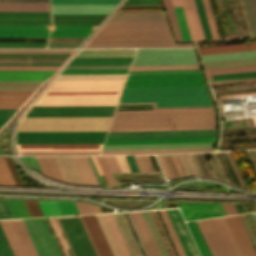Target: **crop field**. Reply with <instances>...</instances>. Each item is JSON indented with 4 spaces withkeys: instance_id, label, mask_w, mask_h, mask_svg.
<instances>
[{
    "instance_id": "0f1d7ab4",
    "label": "crop field",
    "mask_w": 256,
    "mask_h": 256,
    "mask_svg": "<svg viewBox=\"0 0 256 256\" xmlns=\"http://www.w3.org/2000/svg\"><path fill=\"white\" fill-rule=\"evenodd\" d=\"M120 0H51L52 3L117 4Z\"/></svg>"
},
{
    "instance_id": "5a996713",
    "label": "crop field",
    "mask_w": 256,
    "mask_h": 256,
    "mask_svg": "<svg viewBox=\"0 0 256 256\" xmlns=\"http://www.w3.org/2000/svg\"><path fill=\"white\" fill-rule=\"evenodd\" d=\"M205 85L201 74L128 76L124 87Z\"/></svg>"
},
{
    "instance_id": "214f88e0",
    "label": "crop field",
    "mask_w": 256,
    "mask_h": 256,
    "mask_svg": "<svg viewBox=\"0 0 256 256\" xmlns=\"http://www.w3.org/2000/svg\"><path fill=\"white\" fill-rule=\"evenodd\" d=\"M50 26H0V37H48Z\"/></svg>"
},
{
    "instance_id": "ae1a2a85",
    "label": "crop field",
    "mask_w": 256,
    "mask_h": 256,
    "mask_svg": "<svg viewBox=\"0 0 256 256\" xmlns=\"http://www.w3.org/2000/svg\"><path fill=\"white\" fill-rule=\"evenodd\" d=\"M66 182L83 184L70 156H54Z\"/></svg>"
},
{
    "instance_id": "5866460e",
    "label": "crop field",
    "mask_w": 256,
    "mask_h": 256,
    "mask_svg": "<svg viewBox=\"0 0 256 256\" xmlns=\"http://www.w3.org/2000/svg\"><path fill=\"white\" fill-rule=\"evenodd\" d=\"M140 213H141V215L146 223V226L153 238V241L159 251L160 256H169L150 212L144 211V212H140Z\"/></svg>"
},
{
    "instance_id": "c5b07064",
    "label": "crop field",
    "mask_w": 256,
    "mask_h": 256,
    "mask_svg": "<svg viewBox=\"0 0 256 256\" xmlns=\"http://www.w3.org/2000/svg\"><path fill=\"white\" fill-rule=\"evenodd\" d=\"M13 218L5 200H0V219Z\"/></svg>"
},
{
    "instance_id": "e52e79f7",
    "label": "crop field",
    "mask_w": 256,
    "mask_h": 256,
    "mask_svg": "<svg viewBox=\"0 0 256 256\" xmlns=\"http://www.w3.org/2000/svg\"><path fill=\"white\" fill-rule=\"evenodd\" d=\"M200 222L217 256H242L223 217Z\"/></svg>"
},
{
    "instance_id": "d3111659",
    "label": "crop field",
    "mask_w": 256,
    "mask_h": 256,
    "mask_svg": "<svg viewBox=\"0 0 256 256\" xmlns=\"http://www.w3.org/2000/svg\"><path fill=\"white\" fill-rule=\"evenodd\" d=\"M55 71H0V80H44Z\"/></svg>"
},
{
    "instance_id": "dafd665d",
    "label": "crop field",
    "mask_w": 256,
    "mask_h": 256,
    "mask_svg": "<svg viewBox=\"0 0 256 256\" xmlns=\"http://www.w3.org/2000/svg\"><path fill=\"white\" fill-rule=\"evenodd\" d=\"M19 150H100L102 144H17Z\"/></svg>"
},
{
    "instance_id": "c3a83c6f",
    "label": "crop field",
    "mask_w": 256,
    "mask_h": 256,
    "mask_svg": "<svg viewBox=\"0 0 256 256\" xmlns=\"http://www.w3.org/2000/svg\"><path fill=\"white\" fill-rule=\"evenodd\" d=\"M161 4L160 0H127L123 5Z\"/></svg>"
},
{
    "instance_id": "733c2abd",
    "label": "crop field",
    "mask_w": 256,
    "mask_h": 256,
    "mask_svg": "<svg viewBox=\"0 0 256 256\" xmlns=\"http://www.w3.org/2000/svg\"><path fill=\"white\" fill-rule=\"evenodd\" d=\"M173 6L182 5L191 40L204 39L194 0H172Z\"/></svg>"
},
{
    "instance_id": "a9b5d70f",
    "label": "crop field",
    "mask_w": 256,
    "mask_h": 256,
    "mask_svg": "<svg viewBox=\"0 0 256 256\" xmlns=\"http://www.w3.org/2000/svg\"><path fill=\"white\" fill-rule=\"evenodd\" d=\"M213 147V143L104 145L102 150Z\"/></svg>"
},
{
    "instance_id": "9d1cf04e",
    "label": "crop field",
    "mask_w": 256,
    "mask_h": 256,
    "mask_svg": "<svg viewBox=\"0 0 256 256\" xmlns=\"http://www.w3.org/2000/svg\"><path fill=\"white\" fill-rule=\"evenodd\" d=\"M254 70H256V65L242 66V67H231V68H220V69H210V70H205V71H206L207 75H212V74L244 72V71H254Z\"/></svg>"
},
{
    "instance_id": "ade564c9",
    "label": "crop field",
    "mask_w": 256,
    "mask_h": 256,
    "mask_svg": "<svg viewBox=\"0 0 256 256\" xmlns=\"http://www.w3.org/2000/svg\"><path fill=\"white\" fill-rule=\"evenodd\" d=\"M17 185H23L10 157H4Z\"/></svg>"
},
{
    "instance_id": "d1516ede",
    "label": "crop field",
    "mask_w": 256,
    "mask_h": 256,
    "mask_svg": "<svg viewBox=\"0 0 256 256\" xmlns=\"http://www.w3.org/2000/svg\"><path fill=\"white\" fill-rule=\"evenodd\" d=\"M74 50H0V53H72ZM0 57L20 58H68L69 55H21L0 54ZM65 59H0V62H64ZM23 65H61V63H0Z\"/></svg>"
},
{
    "instance_id": "1f1604b0",
    "label": "crop field",
    "mask_w": 256,
    "mask_h": 256,
    "mask_svg": "<svg viewBox=\"0 0 256 256\" xmlns=\"http://www.w3.org/2000/svg\"><path fill=\"white\" fill-rule=\"evenodd\" d=\"M115 157H116L123 172L130 171L123 155H119V156H115Z\"/></svg>"
},
{
    "instance_id": "4a817a6b",
    "label": "crop field",
    "mask_w": 256,
    "mask_h": 256,
    "mask_svg": "<svg viewBox=\"0 0 256 256\" xmlns=\"http://www.w3.org/2000/svg\"><path fill=\"white\" fill-rule=\"evenodd\" d=\"M186 256H199L178 209L166 210Z\"/></svg>"
},
{
    "instance_id": "b80d0937",
    "label": "crop field",
    "mask_w": 256,
    "mask_h": 256,
    "mask_svg": "<svg viewBox=\"0 0 256 256\" xmlns=\"http://www.w3.org/2000/svg\"><path fill=\"white\" fill-rule=\"evenodd\" d=\"M122 256H131L111 213L103 214Z\"/></svg>"
},
{
    "instance_id": "d32e631a",
    "label": "crop field",
    "mask_w": 256,
    "mask_h": 256,
    "mask_svg": "<svg viewBox=\"0 0 256 256\" xmlns=\"http://www.w3.org/2000/svg\"><path fill=\"white\" fill-rule=\"evenodd\" d=\"M159 127H176V130H188V129H215V124H198V125H162V126H127V127H110L109 129H125V128H159ZM134 130H175V128H159V129H125V130H109V131H134Z\"/></svg>"
},
{
    "instance_id": "425ffa30",
    "label": "crop field",
    "mask_w": 256,
    "mask_h": 256,
    "mask_svg": "<svg viewBox=\"0 0 256 256\" xmlns=\"http://www.w3.org/2000/svg\"><path fill=\"white\" fill-rule=\"evenodd\" d=\"M0 18H49L48 12H0Z\"/></svg>"
},
{
    "instance_id": "7312dd0a",
    "label": "crop field",
    "mask_w": 256,
    "mask_h": 256,
    "mask_svg": "<svg viewBox=\"0 0 256 256\" xmlns=\"http://www.w3.org/2000/svg\"><path fill=\"white\" fill-rule=\"evenodd\" d=\"M112 172H122L114 156H105Z\"/></svg>"
},
{
    "instance_id": "fb207236",
    "label": "crop field",
    "mask_w": 256,
    "mask_h": 256,
    "mask_svg": "<svg viewBox=\"0 0 256 256\" xmlns=\"http://www.w3.org/2000/svg\"><path fill=\"white\" fill-rule=\"evenodd\" d=\"M129 68V66H66L65 69Z\"/></svg>"
},
{
    "instance_id": "34b2d1b8",
    "label": "crop field",
    "mask_w": 256,
    "mask_h": 256,
    "mask_svg": "<svg viewBox=\"0 0 256 256\" xmlns=\"http://www.w3.org/2000/svg\"><path fill=\"white\" fill-rule=\"evenodd\" d=\"M209 98L205 86L124 88L120 100Z\"/></svg>"
},
{
    "instance_id": "1f2cbd36",
    "label": "crop field",
    "mask_w": 256,
    "mask_h": 256,
    "mask_svg": "<svg viewBox=\"0 0 256 256\" xmlns=\"http://www.w3.org/2000/svg\"><path fill=\"white\" fill-rule=\"evenodd\" d=\"M199 69L198 65L132 66L130 70Z\"/></svg>"
},
{
    "instance_id": "d23c7cc5",
    "label": "crop field",
    "mask_w": 256,
    "mask_h": 256,
    "mask_svg": "<svg viewBox=\"0 0 256 256\" xmlns=\"http://www.w3.org/2000/svg\"><path fill=\"white\" fill-rule=\"evenodd\" d=\"M0 25H50L49 19H0Z\"/></svg>"
},
{
    "instance_id": "412701ff",
    "label": "crop field",
    "mask_w": 256,
    "mask_h": 256,
    "mask_svg": "<svg viewBox=\"0 0 256 256\" xmlns=\"http://www.w3.org/2000/svg\"><path fill=\"white\" fill-rule=\"evenodd\" d=\"M55 218L73 256H98L80 216Z\"/></svg>"
},
{
    "instance_id": "c39391a2",
    "label": "crop field",
    "mask_w": 256,
    "mask_h": 256,
    "mask_svg": "<svg viewBox=\"0 0 256 256\" xmlns=\"http://www.w3.org/2000/svg\"><path fill=\"white\" fill-rule=\"evenodd\" d=\"M46 43H0V47H45Z\"/></svg>"
},
{
    "instance_id": "eef30255",
    "label": "crop field",
    "mask_w": 256,
    "mask_h": 256,
    "mask_svg": "<svg viewBox=\"0 0 256 256\" xmlns=\"http://www.w3.org/2000/svg\"><path fill=\"white\" fill-rule=\"evenodd\" d=\"M96 26H53L50 37H87Z\"/></svg>"
},
{
    "instance_id": "028f5c9d",
    "label": "crop field",
    "mask_w": 256,
    "mask_h": 256,
    "mask_svg": "<svg viewBox=\"0 0 256 256\" xmlns=\"http://www.w3.org/2000/svg\"><path fill=\"white\" fill-rule=\"evenodd\" d=\"M84 184L98 185L85 156H71Z\"/></svg>"
},
{
    "instance_id": "8de936bc",
    "label": "crop field",
    "mask_w": 256,
    "mask_h": 256,
    "mask_svg": "<svg viewBox=\"0 0 256 256\" xmlns=\"http://www.w3.org/2000/svg\"><path fill=\"white\" fill-rule=\"evenodd\" d=\"M252 80H256V78L236 79V80H225V81H214V82H209V83H210V84H216V83H228V82L252 81Z\"/></svg>"
},
{
    "instance_id": "a0ae1fb6",
    "label": "crop field",
    "mask_w": 256,
    "mask_h": 256,
    "mask_svg": "<svg viewBox=\"0 0 256 256\" xmlns=\"http://www.w3.org/2000/svg\"><path fill=\"white\" fill-rule=\"evenodd\" d=\"M196 222H197V224H198V226H199V228H200V230H201V232H202V234H203V236H204V238H205V240H206V242H207V245H208V247H209V249H210L212 255H213V256H216V255H215V252H214V250H213V248H212V246H211V244H210V242H209V240H208V238H207V236H206V234H205V232H204V230H203V228H202V226H201V224H200V222H199V221H196Z\"/></svg>"
},
{
    "instance_id": "e1f06a70",
    "label": "crop field",
    "mask_w": 256,
    "mask_h": 256,
    "mask_svg": "<svg viewBox=\"0 0 256 256\" xmlns=\"http://www.w3.org/2000/svg\"><path fill=\"white\" fill-rule=\"evenodd\" d=\"M255 49H256V43L198 48L200 55L244 51V50H255Z\"/></svg>"
},
{
    "instance_id": "5142ce71",
    "label": "crop field",
    "mask_w": 256,
    "mask_h": 256,
    "mask_svg": "<svg viewBox=\"0 0 256 256\" xmlns=\"http://www.w3.org/2000/svg\"><path fill=\"white\" fill-rule=\"evenodd\" d=\"M85 47H191L174 40H90Z\"/></svg>"
},
{
    "instance_id": "ae633e8c",
    "label": "crop field",
    "mask_w": 256,
    "mask_h": 256,
    "mask_svg": "<svg viewBox=\"0 0 256 256\" xmlns=\"http://www.w3.org/2000/svg\"><path fill=\"white\" fill-rule=\"evenodd\" d=\"M63 215L79 214L73 202L56 201Z\"/></svg>"
},
{
    "instance_id": "d9b57169",
    "label": "crop field",
    "mask_w": 256,
    "mask_h": 256,
    "mask_svg": "<svg viewBox=\"0 0 256 256\" xmlns=\"http://www.w3.org/2000/svg\"><path fill=\"white\" fill-rule=\"evenodd\" d=\"M154 102V109L213 108L210 99L188 100H142L119 101L118 103Z\"/></svg>"
},
{
    "instance_id": "bd1437ed",
    "label": "crop field",
    "mask_w": 256,
    "mask_h": 256,
    "mask_svg": "<svg viewBox=\"0 0 256 256\" xmlns=\"http://www.w3.org/2000/svg\"><path fill=\"white\" fill-rule=\"evenodd\" d=\"M132 58H73L68 65H130Z\"/></svg>"
},
{
    "instance_id": "c821d689",
    "label": "crop field",
    "mask_w": 256,
    "mask_h": 256,
    "mask_svg": "<svg viewBox=\"0 0 256 256\" xmlns=\"http://www.w3.org/2000/svg\"><path fill=\"white\" fill-rule=\"evenodd\" d=\"M221 204H222L227 215L237 213L233 204H223V203H221Z\"/></svg>"
},
{
    "instance_id": "0bd39190",
    "label": "crop field",
    "mask_w": 256,
    "mask_h": 256,
    "mask_svg": "<svg viewBox=\"0 0 256 256\" xmlns=\"http://www.w3.org/2000/svg\"><path fill=\"white\" fill-rule=\"evenodd\" d=\"M43 173L56 180L64 181L53 156H36ZM65 182V181H64Z\"/></svg>"
},
{
    "instance_id": "b54c1fbb",
    "label": "crop field",
    "mask_w": 256,
    "mask_h": 256,
    "mask_svg": "<svg viewBox=\"0 0 256 256\" xmlns=\"http://www.w3.org/2000/svg\"><path fill=\"white\" fill-rule=\"evenodd\" d=\"M95 216H96V218H97V220H98V222L100 224V227H101V229H102V231H103V233L105 235V238H106V240H107V242L109 244V247H110L113 255L114 256H121V254H120V252L118 250V247H117V245H116V243H115V241H114V239L112 237V234H111V232H110V230H109V228L107 226V223H106L103 215L102 214H98V215H95Z\"/></svg>"
},
{
    "instance_id": "dd49c442",
    "label": "crop field",
    "mask_w": 256,
    "mask_h": 256,
    "mask_svg": "<svg viewBox=\"0 0 256 256\" xmlns=\"http://www.w3.org/2000/svg\"><path fill=\"white\" fill-rule=\"evenodd\" d=\"M198 64L193 49H138L132 65Z\"/></svg>"
},
{
    "instance_id": "cbeb9de0",
    "label": "crop field",
    "mask_w": 256,
    "mask_h": 256,
    "mask_svg": "<svg viewBox=\"0 0 256 256\" xmlns=\"http://www.w3.org/2000/svg\"><path fill=\"white\" fill-rule=\"evenodd\" d=\"M186 221L226 215L220 203L177 202Z\"/></svg>"
},
{
    "instance_id": "0765c3eb",
    "label": "crop field",
    "mask_w": 256,
    "mask_h": 256,
    "mask_svg": "<svg viewBox=\"0 0 256 256\" xmlns=\"http://www.w3.org/2000/svg\"><path fill=\"white\" fill-rule=\"evenodd\" d=\"M45 216L62 215L55 201H38Z\"/></svg>"
},
{
    "instance_id": "28ad6ade",
    "label": "crop field",
    "mask_w": 256,
    "mask_h": 256,
    "mask_svg": "<svg viewBox=\"0 0 256 256\" xmlns=\"http://www.w3.org/2000/svg\"><path fill=\"white\" fill-rule=\"evenodd\" d=\"M22 220L39 256H59L42 218Z\"/></svg>"
},
{
    "instance_id": "0fb4a251",
    "label": "crop field",
    "mask_w": 256,
    "mask_h": 256,
    "mask_svg": "<svg viewBox=\"0 0 256 256\" xmlns=\"http://www.w3.org/2000/svg\"><path fill=\"white\" fill-rule=\"evenodd\" d=\"M109 187L117 186L104 156H95Z\"/></svg>"
},
{
    "instance_id": "db79e9e6",
    "label": "crop field",
    "mask_w": 256,
    "mask_h": 256,
    "mask_svg": "<svg viewBox=\"0 0 256 256\" xmlns=\"http://www.w3.org/2000/svg\"><path fill=\"white\" fill-rule=\"evenodd\" d=\"M201 73L200 70L130 71L128 75Z\"/></svg>"
},
{
    "instance_id": "447ae74e",
    "label": "crop field",
    "mask_w": 256,
    "mask_h": 256,
    "mask_svg": "<svg viewBox=\"0 0 256 256\" xmlns=\"http://www.w3.org/2000/svg\"><path fill=\"white\" fill-rule=\"evenodd\" d=\"M0 184L16 185L3 157H0Z\"/></svg>"
},
{
    "instance_id": "78b8030e",
    "label": "crop field",
    "mask_w": 256,
    "mask_h": 256,
    "mask_svg": "<svg viewBox=\"0 0 256 256\" xmlns=\"http://www.w3.org/2000/svg\"><path fill=\"white\" fill-rule=\"evenodd\" d=\"M205 38L212 39L201 0H195Z\"/></svg>"
},
{
    "instance_id": "c035e120",
    "label": "crop field",
    "mask_w": 256,
    "mask_h": 256,
    "mask_svg": "<svg viewBox=\"0 0 256 256\" xmlns=\"http://www.w3.org/2000/svg\"><path fill=\"white\" fill-rule=\"evenodd\" d=\"M205 69L256 64V58L203 62Z\"/></svg>"
},
{
    "instance_id": "ac0d7876",
    "label": "crop field",
    "mask_w": 256,
    "mask_h": 256,
    "mask_svg": "<svg viewBox=\"0 0 256 256\" xmlns=\"http://www.w3.org/2000/svg\"><path fill=\"white\" fill-rule=\"evenodd\" d=\"M111 118H24L18 131L106 130Z\"/></svg>"
},
{
    "instance_id": "8a807250",
    "label": "crop field",
    "mask_w": 256,
    "mask_h": 256,
    "mask_svg": "<svg viewBox=\"0 0 256 256\" xmlns=\"http://www.w3.org/2000/svg\"><path fill=\"white\" fill-rule=\"evenodd\" d=\"M122 87H49L35 105H116Z\"/></svg>"
},
{
    "instance_id": "73cf0c24",
    "label": "crop field",
    "mask_w": 256,
    "mask_h": 256,
    "mask_svg": "<svg viewBox=\"0 0 256 256\" xmlns=\"http://www.w3.org/2000/svg\"><path fill=\"white\" fill-rule=\"evenodd\" d=\"M177 42L182 41L170 0H162Z\"/></svg>"
},
{
    "instance_id": "180be81f",
    "label": "crop field",
    "mask_w": 256,
    "mask_h": 256,
    "mask_svg": "<svg viewBox=\"0 0 256 256\" xmlns=\"http://www.w3.org/2000/svg\"><path fill=\"white\" fill-rule=\"evenodd\" d=\"M15 110L16 109H0V125H3Z\"/></svg>"
},
{
    "instance_id": "c21b1889",
    "label": "crop field",
    "mask_w": 256,
    "mask_h": 256,
    "mask_svg": "<svg viewBox=\"0 0 256 256\" xmlns=\"http://www.w3.org/2000/svg\"><path fill=\"white\" fill-rule=\"evenodd\" d=\"M42 81H0V90H35Z\"/></svg>"
},
{
    "instance_id": "f47e1a6f",
    "label": "crop field",
    "mask_w": 256,
    "mask_h": 256,
    "mask_svg": "<svg viewBox=\"0 0 256 256\" xmlns=\"http://www.w3.org/2000/svg\"><path fill=\"white\" fill-rule=\"evenodd\" d=\"M252 215H253V217H254V219H255V221H256V214H253V213H252Z\"/></svg>"
},
{
    "instance_id": "dbb93151",
    "label": "crop field",
    "mask_w": 256,
    "mask_h": 256,
    "mask_svg": "<svg viewBox=\"0 0 256 256\" xmlns=\"http://www.w3.org/2000/svg\"><path fill=\"white\" fill-rule=\"evenodd\" d=\"M159 211H160V213H161V215L163 217V220H164V222H165V224L167 226V229H168V231H169V233L171 235V238H172V240H173V242L175 244V247H176V249H177V251L179 253V256H185V254H184V252H183V250L181 248V245H180V243L178 241V238H177V236L175 234V231H174V229L172 227V224H171V222H170V220L168 218V215H167L166 211L165 210H159Z\"/></svg>"
},
{
    "instance_id": "f4fd0767",
    "label": "crop field",
    "mask_w": 256,
    "mask_h": 256,
    "mask_svg": "<svg viewBox=\"0 0 256 256\" xmlns=\"http://www.w3.org/2000/svg\"><path fill=\"white\" fill-rule=\"evenodd\" d=\"M106 131L18 132L17 143H102Z\"/></svg>"
},
{
    "instance_id": "e1d0b9f6",
    "label": "crop field",
    "mask_w": 256,
    "mask_h": 256,
    "mask_svg": "<svg viewBox=\"0 0 256 256\" xmlns=\"http://www.w3.org/2000/svg\"><path fill=\"white\" fill-rule=\"evenodd\" d=\"M0 256H14L0 225Z\"/></svg>"
},
{
    "instance_id": "d8731c3e",
    "label": "crop field",
    "mask_w": 256,
    "mask_h": 256,
    "mask_svg": "<svg viewBox=\"0 0 256 256\" xmlns=\"http://www.w3.org/2000/svg\"><path fill=\"white\" fill-rule=\"evenodd\" d=\"M116 106H33L26 117L112 116Z\"/></svg>"
},
{
    "instance_id": "25e5ab78",
    "label": "crop field",
    "mask_w": 256,
    "mask_h": 256,
    "mask_svg": "<svg viewBox=\"0 0 256 256\" xmlns=\"http://www.w3.org/2000/svg\"><path fill=\"white\" fill-rule=\"evenodd\" d=\"M14 218L30 217L22 200H6Z\"/></svg>"
},
{
    "instance_id": "d14b1444",
    "label": "crop field",
    "mask_w": 256,
    "mask_h": 256,
    "mask_svg": "<svg viewBox=\"0 0 256 256\" xmlns=\"http://www.w3.org/2000/svg\"><path fill=\"white\" fill-rule=\"evenodd\" d=\"M80 214L98 213L100 212L98 206L86 203L74 202Z\"/></svg>"
},
{
    "instance_id": "730fd06b",
    "label": "crop field",
    "mask_w": 256,
    "mask_h": 256,
    "mask_svg": "<svg viewBox=\"0 0 256 256\" xmlns=\"http://www.w3.org/2000/svg\"><path fill=\"white\" fill-rule=\"evenodd\" d=\"M135 49H82L75 57H132Z\"/></svg>"
},
{
    "instance_id": "4177f3b9",
    "label": "crop field",
    "mask_w": 256,
    "mask_h": 256,
    "mask_svg": "<svg viewBox=\"0 0 256 256\" xmlns=\"http://www.w3.org/2000/svg\"><path fill=\"white\" fill-rule=\"evenodd\" d=\"M215 137L106 140L104 144L214 142Z\"/></svg>"
},
{
    "instance_id": "22f410ed",
    "label": "crop field",
    "mask_w": 256,
    "mask_h": 256,
    "mask_svg": "<svg viewBox=\"0 0 256 256\" xmlns=\"http://www.w3.org/2000/svg\"><path fill=\"white\" fill-rule=\"evenodd\" d=\"M215 136V130L108 132L106 139Z\"/></svg>"
},
{
    "instance_id": "1d79db26",
    "label": "crop field",
    "mask_w": 256,
    "mask_h": 256,
    "mask_svg": "<svg viewBox=\"0 0 256 256\" xmlns=\"http://www.w3.org/2000/svg\"><path fill=\"white\" fill-rule=\"evenodd\" d=\"M128 69L63 70L60 74L127 73Z\"/></svg>"
},
{
    "instance_id": "92a150f3",
    "label": "crop field",
    "mask_w": 256,
    "mask_h": 256,
    "mask_svg": "<svg viewBox=\"0 0 256 256\" xmlns=\"http://www.w3.org/2000/svg\"><path fill=\"white\" fill-rule=\"evenodd\" d=\"M115 5L52 4V13H108Z\"/></svg>"
},
{
    "instance_id": "bc2a9ffb",
    "label": "crop field",
    "mask_w": 256,
    "mask_h": 256,
    "mask_svg": "<svg viewBox=\"0 0 256 256\" xmlns=\"http://www.w3.org/2000/svg\"><path fill=\"white\" fill-rule=\"evenodd\" d=\"M105 15L106 14H52L53 25H98Z\"/></svg>"
},
{
    "instance_id": "00972430",
    "label": "crop field",
    "mask_w": 256,
    "mask_h": 256,
    "mask_svg": "<svg viewBox=\"0 0 256 256\" xmlns=\"http://www.w3.org/2000/svg\"><path fill=\"white\" fill-rule=\"evenodd\" d=\"M170 30L167 23H105L100 31Z\"/></svg>"
},
{
    "instance_id": "7b73153f",
    "label": "crop field",
    "mask_w": 256,
    "mask_h": 256,
    "mask_svg": "<svg viewBox=\"0 0 256 256\" xmlns=\"http://www.w3.org/2000/svg\"><path fill=\"white\" fill-rule=\"evenodd\" d=\"M202 1H203L204 9H205V12H206L207 20H208V23H209V27H210V30H211L212 38L213 39L219 38L218 33H217V29H216V26H215L214 18H213V15H212L211 7H210V4H209V0H202Z\"/></svg>"
},
{
    "instance_id": "03da06ac",
    "label": "crop field",
    "mask_w": 256,
    "mask_h": 256,
    "mask_svg": "<svg viewBox=\"0 0 256 256\" xmlns=\"http://www.w3.org/2000/svg\"><path fill=\"white\" fill-rule=\"evenodd\" d=\"M202 256H212L195 221L186 222Z\"/></svg>"
},
{
    "instance_id": "920284fa",
    "label": "crop field",
    "mask_w": 256,
    "mask_h": 256,
    "mask_svg": "<svg viewBox=\"0 0 256 256\" xmlns=\"http://www.w3.org/2000/svg\"><path fill=\"white\" fill-rule=\"evenodd\" d=\"M238 216H239V218H240V220H241V222H242V224H243V226H244V228H245V231H246V233H247V235H248V237H249L251 243L253 244L254 242H253V240H252V238H251V236H250V234H249V232H248V230H247V228H246V226H245V224H244V222H243L241 216H240V215H238Z\"/></svg>"
},
{
    "instance_id": "750c4746",
    "label": "crop field",
    "mask_w": 256,
    "mask_h": 256,
    "mask_svg": "<svg viewBox=\"0 0 256 256\" xmlns=\"http://www.w3.org/2000/svg\"><path fill=\"white\" fill-rule=\"evenodd\" d=\"M33 91H0V108H18Z\"/></svg>"
},
{
    "instance_id": "819c52e7",
    "label": "crop field",
    "mask_w": 256,
    "mask_h": 256,
    "mask_svg": "<svg viewBox=\"0 0 256 256\" xmlns=\"http://www.w3.org/2000/svg\"><path fill=\"white\" fill-rule=\"evenodd\" d=\"M124 156H125L128 164H129L131 170L136 171V172H140L137 165H136V162L134 163L135 160H134L133 156L132 155H124Z\"/></svg>"
},
{
    "instance_id": "1d83c4d3",
    "label": "crop field",
    "mask_w": 256,
    "mask_h": 256,
    "mask_svg": "<svg viewBox=\"0 0 256 256\" xmlns=\"http://www.w3.org/2000/svg\"><path fill=\"white\" fill-rule=\"evenodd\" d=\"M125 80H55L51 86H122Z\"/></svg>"
},
{
    "instance_id": "89e229c0",
    "label": "crop field",
    "mask_w": 256,
    "mask_h": 256,
    "mask_svg": "<svg viewBox=\"0 0 256 256\" xmlns=\"http://www.w3.org/2000/svg\"><path fill=\"white\" fill-rule=\"evenodd\" d=\"M174 10H175L176 18L178 21L179 29L181 32L182 40L191 41L188 33L187 25L185 22V18L183 15L182 7L181 6L174 7Z\"/></svg>"
},
{
    "instance_id": "f0312440",
    "label": "crop field",
    "mask_w": 256,
    "mask_h": 256,
    "mask_svg": "<svg viewBox=\"0 0 256 256\" xmlns=\"http://www.w3.org/2000/svg\"><path fill=\"white\" fill-rule=\"evenodd\" d=\"M251 75H256V72L227 74V75H217V76H212V78L213 79H218V78H229V77H240V76H251Z\"/></svg>"
},
{
    "instance_id": "3316defc",
    "label": "crop field",
    "mask_w": 256,
    "mask_h": 256,
    "mask_svg": "<svg viewBox=\"0 0 256 256\" xmlns=\"http://www.w3.org/2000/svg\"><path fill=\"white\" fill-rule=\"evenodd\" d=\"M15 256H38L21 219L0 220Z\"/></svg>"
},
{
    "instance_id": "120bbe31",
    "label": "crop field",
    "mask_w": 256,
    "mask_h": 256,
    "mask_svg": "<svg viewBox=\"0 0 256 256\" xmlns=\"http://www.w3.org/2000/svg\"><path fill=\"white\" fill-rule=\"evenodd\" d=\"M150 256H159L145 223L139 212H130Z\"/></svg>"
},
{
    "instance_id": "5d738f31",
    "label": "crop field",
    "mask_w": 256,
    "mask_h": 256,
    "mask_svg": "<svg viewBox=\"0 0 256 256\" xmlns=\"http://www.w3.org/2000/svg\"><path fill=\"white\" fill-rule=\"evenodd\" d=\"M255 56H256V50L250 51V52L244 51V52L204 55L200 57L202 61H208V60L232 59V58L255 57Z\"/></svg>"
}]
</instances>
